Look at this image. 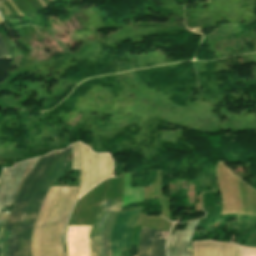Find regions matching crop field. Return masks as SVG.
Here are the masks:
<instances>
[{
    "mask_svg": "<svg viewBox=\"0 0 256 256\" xmlns=\"http://www.w3.org/2000/svg\"><path fill=\"white\" fill-rule=\"evenodd\" d=\"M70 153L71 147L41 158L26 179L7 223L5 256H32L33 226L50 187L68 162Z\"/></svg>",
    "mask_w": 256,
    "mask_h": 256,
    "instance_id": "1",
    "label": "crop field"
},
{
    "mask_svg": "<svg viewBox=\"0 0 256 256\" xmlns=\"http://www.w3.org/2000/svg\"><path fill=\"white\" fill-rule=\"evenodd\" d=\"M78 188L52 187L33 232V256H62L63 228L76 201Z\"/></svg>",
    "mask_w": 256,
    "mask_h": 256,
    "instance_id": "2",
    "label": "crop field"
},
{
    "mask_svg": "<svg viewBox=\"0 0 256 256\" xmlns=\"http://www.w3.org/2000/svg\"><path fill=\"white\" fill-rule=\"evenodd\" d=\"M73 168L80 169L78 198L101 180L113 177L110 156L108 154H94L81 143L73 145Z\"/></svg>",
    "mask_w": 256,
    "mask_h": 256,
    "instance_id": "3",
    "label": "crop field"
},
{
    "mask_svg": "<svg viewBox=\"0 0 256 256\" xmlns=\"http://www.w3.org/2000/svg\"><path fill=\"white\" fill-rule=\"evenodd\" d=\"M122 203L103 199L89 235L91 256H111L109 233Z\"/></svg>",
    "mask_w": 256,
    "mask_h": 256,
    "instance_id": "4",
    "label": "crop field"
},
{
    "mask_svg": "<svg viewBox=\"0 0 256 256\" xmlns=\"http://www.w3.org/2000/svg\"><path fill=\"white\" fill-rule=\"evenodd\" d=\"M37 159L29 160L15 165L14 168L5 169L0 179V210L2 207L10 206L26 176L36 165Z\"/></svg>",
    "mask_w": 256,
    "mask_h": 256,
    "instance_id": "5",
    "label": "crop field"
},
{
    "mask_svg": "<svg viewBox=\"0 0 256 256\" xmlns=\"http://www.w3.org/2000/svg\"><path fill=\"white\" fill-rule=\"evenodd\" d=\"M141 209L133 208L130 214L119 213L111 234L113 256H121L123 251L131 248L130 236L134 230Z\"/></svg>",
    "mask_w": 256,
    "mask_h": 256,
    "instance_id": "6",
    "label": "crop field"
},
{
    "mask_svg": "<svg viewBox=\"0 0 256 256\" xmlns=\"http://www.w3.org/2000/svg\"><path fill=\"white\" fill-rule=\"evenodd\" d=\"M170 230L143 226L138 236L137 256H166L165 243Z\"/></svg>",
    "mask_w": 256,
    "mask_h": 256,
    "instance_id": "7",
    "label": "crop field"
},
{
    "mask_svg": "<svg viewBox=\"0 0 256 256\" xmlns=\"http://www.w3.org/2000/svg\"><path fill=\"white\" fill-rule=\"evenodd\" d=\"M198 220L188 223L185 229L178 230L174 236L169 237L167 243L168 256H191L190 241Z\"/></svg>",
    "mask_w": 256,
    "mask_h": 256,
    "instance_id": "8",
    "label": "crop field"
},
{
    "mask_svg": "<svg viewBox=\"0 0 256 256\" xmlns=\"http://www.w3.org/2000/svg\"><path fill=\"white\" fill-rule=\"evenodd\" d=\"M194 256H240L239 246L214 241L193 243Z\"/></svg>",
    "mask_w": 256,
    "mask_h": 256,
    "instance_id": "9",
    "label": "crop field"
},
{
    "mask_svg": "<svg viewBox=\"0 0 256 256\" xmlns=\"http://www.w3.org/2000/svg\"><path fill=\"white\" fill-rule=\"evenodd\" d=\"M8 216L9 215L0 214V227L4 228ZM2 228H0V256H3V254H2V241H3L4 229H2Z\"/></svg>",
    "mask_w": 256,
    "mask_h": 256,
    "instance_id": "10",
    "label": "crop field"
},
{
    "mask_svg": "<svg viewBox=\"0 0 256 256\" xmlns=\"http://www.w3.org/2000/svg\"><path fill=\"white\" fill-rule=\"evenodd\" d=\"M2 58H10V56L4 45L2 38L0 37V59Z\"/></svg>",
    "mask_w": 256,
    "mask_h": 256,
    "instance_id": "11",
    "label": "crop field"
},
{
    "mask_svg": "<svg viewBox=\"0 0 256 256\" xmlns=\"http://www.w3.org/2000/svg\"><path fill=\"white\" fill-rule=\"evenodd\" d=\"M241 256H256V249L240 247Z\"/></svg>",
    "mask_w": 256,
    "mask_h": 256,
    "instance_id": "12",
    "label": "crop field"
},
{
    "mask_svg": "<svg viewBox=\"0 0 256 256\" xmlns=\"http://www.w3.org/2000/svg\"><path fill=\"white\" fill-rule=\"evenodd\" d=\"M0 1H4V0H0Z\"/></svg>",
    "mask_w": 256,
    "mask_h": 256,
    "instance_id": "13",
    "label": "crop field"
}]
</instances>
